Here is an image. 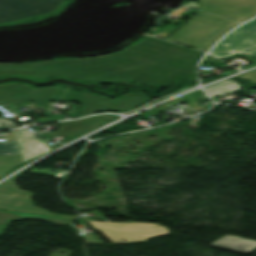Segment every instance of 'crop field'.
I'll return each mask as SVG.
<instances>
[{
    "mask_svg": "<svg viewBox=\"0 0 256 256\" xmlns=\"http://www.w3.org/2000/svg\"><path fill=\"white\" fill-rule=\"evenodd\" d=\"M203 54L147 36L137 45L95 58L0 64V78L45 80L63 76L104 83L130 78L139 84L170 86L177 80L195 78L194 67Z\"/></svg>",
    "mask_w": 256,
    "mask_h": 256,
    "instance_id": "1",
    "label": "crop field"
},
{
    "mask_svg": "<svg viewBox=\"0 0 256 256\" xmlns=\"http://www.w3.org/2000/svg\"><path fill=\"white\" fill-rule=\"evenodd\" d=\"M240 23L199 11L168 40L186 44L207 51L217 39Z\"/></svg>",
    "mask_w": 256,
    "mask_h": 256,
    "instance_id": "2",
    "label": "crop field"
},
{
    "mask_svg": "<svg viewBox=\"0 0 256 256\" xmlns=\"http://www.w3.org/2000/svg\"><path fill=\"white\" fill-rule=\"evenodd\" d=\"M95 229L99 230L113 244L143 242L153 236H162L170 234L168 228L160 224L143 222H99L88 221ZM127 239L126 242H120L121 239Z\"/></svg>",
    "mask_w": 256,
    "mask_h": 256,
    "instance_id": "3",
    "label": "crop field"
},
{
    "mask_svg": "<svg viewBox=\"0 0 256 256\" xmlns=\"http://www.w3.org/2000/svg\"><path fill=\"white\" fill-rule=\"evenodd\" d=\"M146 97L143 92L129 93L119 100H111L104 96H94L86 93H74L68 89L62 100H76L81 101L80 117L99 111L115 110L123 111L134 109L148 100L143 99Z\"/></svg>",
    "mask_w": 256,
    "mask_h": 256,
    "instance_id": "4",
    "label": "crop field"
},
{
    "mask_svg": "<svg viewBox=\"0 0 256 256\" xmlns=\"http://www.w3.org/2000/svg\"><path fill=\"white\" fill-rule=\"evenodd\" d=\"M64 0H0V23L53 12Z\"/></svg>",
    "mask_w": 256,
    "mask_h": 256,
    "instance_id": "5",
    "label": "crop field"
},
{
    "mask_svg": "<svg viewBox=\"0 0 256 256\" xmlns=\"http://www.w3.org/2000/svg\"><path fill=\"white\" fill-rule=\"evenodd\" d=\"M210 53L219 58L235 53H247L256 58V19L233 31Z\"/></svg>",
    "mask_w": 256,
    "mask_h": 256,
    "instance_id": "6",
    "label": "crop field"
},
{
    "mask_svg": "<svg viewBox=\"0 0 256 256\" xmlns=\"http://www.w3.org/2000/svg\"><path fill=\"white\" fill-rule=\"evenodd\" d=\"M22 174L23 173L9 179L8 181L0 185L1 209L18 210L46 215L75 217L70 215L53 214L32 205L30 197L34 194L27 191L19 190L14 184L15 179Z\"/></svg>",
    "mask_w": 256,
    "mask_h": 256,
    "instance_id": "7",
    "label": "crop field"
},
{
    "mask_svg": "<svg viewBox=\"0 0 256 256\" xmlns=\"http://www.w3.org/2000/svg\"><path fill=\"white\" fill-rule=\"evenodd\" d=\"M202 10L237 21L256 15V0H200Z\"/></svg>",
    "mask_w": 256,
    "mask_h": 256,
    "instance_id": "8",
    "label": "crop field"
},
{
    "mask_svg": "<svg viewBox=\"0 0 256 256\" xmlns=\"http://www.w3.org/2000/svg\"><path fill=\"white\" fill-rule=\"evenodd\" d=\"M57 89L58 87L55 89L49 87L32 89L19 84L0 86V102L18 105L31 100L44 105Z\"/></svg>",
    "mask_w": 256,
    "mask_h": 256,
    "instance_id": "9",
    "label": "crop field"
},
{
    "mask_svg": "<svg viewBox=\"0 0 256 256\" xmlns=\"http://www.w3.org/2000/svg\"><path fill=\"white\" fill-rule=\"evenodd\" d=\"M14 133L25 162L45 154L50 150L44 140L33 136L27 129L15 130Z\"/></svg>",
    "mask_w": 256,
    "mask_h": 256,
    "instance_id": "10",
    "label": "crop field"
},
{
    "mask_svg": "<svg viewBox=\"0 0 256 256\" xmlns=\"http://www.w3.org/2000/svg\"><path fill=\"white\" fill-rule=\"evenodd\" d=\"M111 118H115V117L109 116V115H99V116H94V117H89L84 119H78L74 121L60 122L63 130L46 134V136L48 137L73 136L76 134L84 133ZM69 122H73V123H69Z\"/></svg>",
    "mask_w": 256,
    "mask_h": 256,
    "instance_id": "11",
    "label": "crop field"
},
{
    "mask_svg": "<svg viewBox=\"0 0 256 256\" xmlns=\"http://www.w3.org/2000/svg\"><path fill=\"white\" fill-rule=\"evenodd\" d=\"M25 218H38L46 221L53 222L54 224L68 225L72 219L50 217L44 215L28 214V213H16L0 210V234L9 225L11 221L21 220Z\"/></svg>",
    "mask_w": 256,
    "mask_h": 256,
    "instance_id": "12",
    "label": "crop field"
},
{
    "mask_svg": "<svg viewBox=\"0 0 256 256\" xmlns=\"http://www.w3.org/2000/svg\"><path fill=\"white\" fill-rule=\"evenodd\" d=\"M210 245L248 254L256 249V241L225 235Z\"/></svg>",
    "mask_w": 256,
    "mask_h": 256,
    "instance_id": "13",
    "label": "crop field"
},
{
    "mask_svg": "<svg viewBox=\"0 0 256 256\" xmlns=\"http://www.w3.org/2000/svg\"><path fill=\"white\" fill-rule=\"evenodd\" d=\"M239 88H240L239 85L235 83L233 80H227V81L220 82L212 86L206 87L205 90L210 97H213V96L237 91Z\"/></svg>",
    "mask_w": 256,
    "mask_h": 256,
    "instance_id": "14",
    "label": "crop field"
},
{
    "mask_svg": "<svg viewBox=\"0 0 256 256\" xmlns=\"http://www.w3.org/2000/svg\"><path fill=\"white\" fill-rule=\"evenodd\" d=\"M23 162L24 161L21 155L0 156V167L5 174L10 171L14 166Z\"/></svg>",
    "mask_w": 256,
    "mask_h": 256,
    "instance_id": "15",
    "label": "crop field"
},
{
    "mask_svg": "<svg viewBox=\"0 0 256 256\" xmlns=\"http://www.w3.org/2000/svg\"><path fill=\"white\" fill-rule=\"evenodd\" d=\"M21 154L16 141L0 142V155Z\"/></svg>",
    "mask_w": 256,
    "mask_h": 256,
    "instance_id": "16",
    "label": "crop field"
},
{
    "mask_svg": "<svg viewBox=\"0 0 256 256\" xmlns=\"http://www.w3.org/2000/svg\"><path fill=\"white\" fill-rule=\"evenodd\" d=\"M82 237L87 239L88 243L103 244L102 241H100L95 235H92L91 233H86Z\"/></svg>",
    "mask_w": 256,
    "mask_h": 256,
    "instance_id": "17",
    "label": "crop field"
},
{
    "mask_svg": "<svg viewBox=\"0 0 256 256\" xmlns=\"http://www.w3.org/2000/svg\"><path fill=\"white\" fill-rule=\"evenodd\" d=\"M9 125H12L13 127H16L17 125L14 124L10 119H3L0 118V129L8 128Z\"/></svg>",
    "mask_w": 256,
    "mask_h": 256,
    "instance_id": "18",
    "label": "crop field"
},
{
    "mask_svg": "<svg viewBox=\"0 0 256 256\" xmlns=\"http://www.w3.org/2000/svg\"><path fill=\"white\" fill-rule=\"evenodd\" d=\"M243 76H249V77H255L256 78V70L255 71H252V72H249Z\"/></svg>",
    "mask_w": 256,
    "mask_h": 256,
    "instance_id": "19",
    "label": "crop field"
},
{
    "mask_svg": "<svg viewBox=\"0 0 256 256\" xmlns=\"http://www.w3.org/2000/svg\"><path fill=\"white\" fill-rule=\"evenodd\" d=\"M242 78H246V79H249V80H251L253 83H255L256 82V79L255 78H249V77H243V76H241Z\"/></svg>",
    "mask_w": 256,
    "mask_h": 256,
    "instance_id": "20",
    "label": "crop field"
},
{
    "mask_svg": "<svg viewBox=\"0 0 256 256\" xmlns=\"http://www.w3.org/2000/svg\"><path fill=\"white\" fill-rule=\"evenodd\" d=\"M3 175H4V173H3V172L1 171V169H0V177L3 176Z\"/></svg>",
    "mask_w": 256,
    "mask_h": 256,
    "instance_id": "21",
    "label": "crop field"
}]
</instances>
